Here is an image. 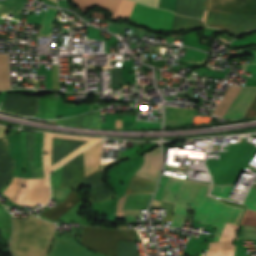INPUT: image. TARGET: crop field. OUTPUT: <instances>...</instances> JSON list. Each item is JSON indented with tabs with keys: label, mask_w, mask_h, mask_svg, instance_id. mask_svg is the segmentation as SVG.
<instances>
[{
	"label": "crop field",
	"mask_w": 256,
	"mask_h": 256,
	"mask_svg": "<svg viewBox=\"0 0 256 256\" xmlns=\"http://www.w3.org/2000/svg\"><path fill=\"white\" fill-rule=\"evenodd\" d=\"M206 13L205 11L204 19ZM205 23L210 27L224 28L239 34L245 30L256 28V17L208 12Z\"/></svg>",
	"instance_id": "obj_3"
},
{
	"label": "crop field",
	"mask_w": 256,
	"mask_h": 256,
	"mask_svg": "<svg viewBox=\"0 0 256 256\" xmlns=\"http://www.w3.org/2000/svg\"><path fill=\"white\" fill-rule=\"evenodd\" d=\"M193 27H202L204 29L207 28L206 25L198 19L179 17L174 14L172 32L185 30Z\"/></svg>",
	"instance_id": "obj_12"
},
{
	"label": "crop field",
	"mask_w": 256,
	"mask_h": 256,
	"mask_svg": "<svg viewBox=\"0 0 256 256\" xmlns=\"http://www.w3.org/2000/svg\"><path fill=\"white\" fill-rule=\"evenodd\" d=\"M246 71L252 73L253 75L251 76V78L256 80V64H247Z\"/></svg>",
	"instance_id": "obj_26"
},
{
	"label": "crop field",
	"mask_w": 256,
	"mask_h": 256,
	"mask_svg": "<svg viewBox=\"0 0 256 256\" xmlns=\"http://www.w3.org/2000/svg\"><path fill=\"white\" fill-rule=\"evenodd\" d=\"M101 143L102 141L92 146L88 150L84 151V163H85L86 176L98 170Z\"/></svg>",
	"instance_id": "obj_10"
},
{
	"label": "crop field",
	"mask_w": 256,
	"mask_h": 256,
	"mask_svg": "<svg viewBox=\"0 0 256 256\" xmlns=\"http://www.w3.org/2000/svg\"><path fill=\"white\" fill-rule=\"evenodd\" d=\"M7 129V126L0 125V138H2L5 135Z\"/></svg>",
	"instance_id": "obj_29"
},
{
	"label": "crop field",
	"mask_w": 256,
	"mask_h": 256,
	"mask_svg": "<svg viewBox=\"0 0 256 256\" xmlns=\"http://www.w3.org/2000/svg\"><path fill=\"white\" fill-rule=\"evenodd\" d=\"M205 10L256 15V0H206Z\"/></svg>",
	"instance_id": "obj_4"
},
{
	"label": "crop field",
	"mask_w": 256,
	"mask_h": 256,
	"mask_svg": "<svg viewBox=\"0 0 256 256\" xmlns=\"http://www.w3.org/2000/svg\"><path fill=\"white\" fill-rule=\"evenodd\" d=\"M242 225H255L256 226V213L248 211L245 218L241 222Z\"/></svg>",
	"instance_id": "obj_23"
},
{
	"label": "crop field",
	"mask_w": 256,
	"mask_h": 256,
	"mask_svg": "<svg viewBox=\"0 0 256 256\" xmlns=\"http://www.w3.org/2000/svg\"><path fill=\"white\" fill-rule=\"evenodd\" d=\"M52 89L59 90V86H58V65H52Z\"/></svg>",
	"instance_id": "obj_24"
},
{
	"label": "crop field",
	"mask_w": 256,
	"mask_h": 256,
	"mask_svg": "<svg viewBox=\"0 0 256 256\" xmlns=\"http://www.w3.org/2000/svg\"><path fill=\"white\" fill-rule=\"evenodd\" d=\"M0 8H1V6H0Z\"/></svg>",
	"instance_id": "obj_31"
},
{
	"label": "crop field",
	"mask_w": 256,
	"mask_h": 256,
	"mask_svg": "<svg viewBox=\"0 0 256 256\" xmlns=\"http://www.w3.org/2000/svg\"><path fill=\"white\" fill-rule=\"evenodd\" d=\"M240 90L241 88L230 86L229 89L224 94L222 100L214 110V113L223 117V115L225 114V112L227 111V109L229 108V106L231 105V103L233 102V100L235 99Z\"/></svg>",
	"instance_id": "obj_13"
},
{
	"label": "crop field",
	"mask_w": 256,
	"mask_h": 256,
	"mask_svg": "<svg viewBox=\"0 0 256 256\" xmlns=\"http://www.w3.org/2000/svg\"><path fill=\"white\" fill-rule=\"evenodd\" d=\"M161 167L162 155L161 149L158 148L151 153L145 154V162L135 176H141L143 178L157 181Z\"/></svg>",
	"instance_id": "obj_7"
},
{
	"label": "crop field",
	"mask_w": 256,
	"mask_h": 256,
	"mask_svg": "<svg viewBox=\"0 0 256 256\" xmlns=\"http://www.w3.org/2000/svg\"><path fill=\"white\" fill-rule=\"evenodd\" d=\"M244 205H247L246 210H251L256 212V186L252 185L248 195L246 196Z\"/></svg>",
	"instance_id": "obj_18"
},
{
	"label": "crop field",
	"mask_w": 256,
	"mask_h": 256,
	"mask_svg": "<svg viewBox=\"0 0 256 256\" xmlns=\"http://www.w3.org/2000/svg\"><path fill=\"white\" fill-rule=\"evenodd\" d=\"M164 204L168 205L165 218L171 220L174 206L171 204H167V203H164Z\"/></svg>",
	"instance_id": "obj_28"
},
{
	"label": "crop field",
	"mask_w": 256,
	"mask_h": 256,
	"mask_svg": "<svg viewBox=\"0 0 256 256\" xmlns=\"http://www.w3.org/2000/svg\"><path fill=\"white\" fill-rule=\"evenodd\" d=\"M53 1H55V2H56V0H53Z\"/></svg>",
	"instance_id": "obj_30"
},
{
	"label": "crop field",
	"mask_w": 256,
	"mask_h": 256,
	"mask_svg": "<svg viewBox=\"0 0 256 256\" xmlns=\"http://www.w3.org/2000/svg\"><path fill=\"white\" fill-rule=\"evenodd\" d=\"M135 1L141 2L149 6H154V7H157L159 2V0H135Z\"/></svg>",
	"instance_id": "obj_27"
},
{
	"label": "crop field",
	"mask_w": 256,
	"mask_h": 256,
	"mask_svg": "<svg viewBox=\"0 0 256 256\" xmlns=\"http://www.w3.org/2000/svg\"><path fill=\"white\" fill-rule=\"evenodd\" d=\"M256 44V36H249L242 40H234L230 43L229 47H242V46H250Z\"/></svg>",
	"instance_id": "obj_20"
},
{
	"label": "crop field",
	"mask_w": 256,
	"mask_h": 256,
	"mask_svg": "<svg viewBox=\"0 0 256 256\" xmlns=\"http://www.w3.org/2000/svg\"><path fill=\"white\" fill-rule=\"evenodd\" d=\"M72 1L81 10L82 13H86L90 8L99 7L104 10L111 11L112 17L114 18L122 0H72Z\"/></svg>",
	"instance_id": "obj_8"
},
{
	"label": "crop field",
	"mask_w": 256,
	"mask_h": 256,
	"mask_svg": "<svg viewBox=\"0 0 256 256\" xmlns=\"http://www.w3.org/2000/svg\"><path fill=\"white\" fill-rule=\"evenodd\" d=\"M256 117V98L253 101L251 107L249 108L248 112L244 116V118H253Z\"/></svg>",
	"instance_id": "obj_25"
},
{
	"label": "crop field",
	"mask_w": 256,
	"mask_h": 256,
	"mask_svg": "<svg viewBox=\"0 0 256 256\" xmlns=\"http://www.w3.org/2000/svg\"><path fill=\"white\" fill-rule=\"evenodd\" d=\"M10 89L7 55H0V90Z\"/></svg>",
	"instance_id": "obj_15"
},
{
	"label": "crop field",
	"mask_w": 256,
	"mask_h": 256,
	"mask_svg": "<svg viewBox=\"0 0 256 256\" xmlns=\"http://www.w3.org/2000/svg\"><path fill=\"white\" fill-rule=\"evenodd\" d=\"M204 12V0H177L175 13L183 16L202 18Z\"/></svg>",
	"instance_id": "obj_9"
},
{
	"label": "crop field",
	"mask_w": 256,
	"mask_h": 256,
	"mask_svg": "<svg viewBox=\"0 0 256 256\" xmlns=\"http://www.w3.org/2000/svg\"><path fill=\"white\" fill-rule=\"evenodd\" d=\"M155 186V182L139 177H133L125 192V195L129 193H153Z\"/></svg>",
	"instance_id": "obj_11"
},
{
	"label": "crop field",
	"mask_w": 256,
	"mask_h": 256,
	"mask_svg": "<svg viewBox=\"0 0 256 256\" xmlns=\"http://www.w3.org/2000/svg\"><path fill=\"white\" fill-rule=\"evenodd\" d=\"M210 185L170 177L162 201L175 204L170 227H180L188 213L189 205L195 211L194 220L218 226L214 241H218L225 223L236 224L243 209L208 198Z\"/></svg>",
	"instance_id": "obj_1"
},
{
	"label": "crop field",
	"mask_w": 256,
	"mask_h": 256,
	"mask_svg": "<svg viewBox=\"0 0 256 256\" xmlns=\"http://www.w3.org/2000/svg\"><path fill=\"white\" fill-rule=\"evenodd\" d=\"M243 239H254L256 240V227L245 226L243 233Z\"/></svg>",
	"instance_id": "obj_22"
},
{
	"label": "crop field",
	"mask_w": 256,
	"mask_h": 256,
	"mask_svg": "<svg viewBox=\"0 0 256 256\" xmlns=\"http://www.w3.org/2000/svg\"><path fill=\"white\" fill-rule=\"evenodd\" d=\"M122 4H123V2H122ZM122 4H121V6H122ZM133 5H134V2H131L129 0H125L124 4L122 6L121 12H120V14H119L117 19L128 20L130 14H131ZM121 6H120V8H121ZM120 8H119V10H120ZM119 10H118V12H119Z\"/></svg>",
	"instance_id": "obj_19"
},
{
	"label": "crop field",
	"mask_w": 256,
	"mask_h": 256,
	"mask_svg": "<svg viewBox=\"0 0 256 256\" xmlns=\"http://www.w3.org/2000/svg\"><path fill=\"white\" fill-rule=\"evenodd\" d=\"M48 256H101L90 252L79 245L74 239L56 237L55 244Z\"/></svg>",
	"instance_id": "obj_5"
},
{
	"label": "crop field",
	"mask_w": 256,
	"mask_h": 256,
	"mask_svg": "<svg viewBox=\"0 0 256 256\" xmlns=\"http://www.w3.org/2000/svg\"><path fill=\"white\" fill-rule=\"evenodd\" d=\"M173 13L163 9H157L142 5L135 4L130 20L146 25L154 30L171 31Z\"/></svg>",
	"instance_id": "obj_2"
},
{
	"label": "crop field",
	"mask_w": 256,
	"mask_h": 256,
	"mask_svg": "<svg viewBox=\"0 0 256 256\" xmlns=\"http://www.w3.org/2000/svg\"><path fill=\"white\" fill-rule=\"evenodd\" d=\"M232 186L233 185H213L210 196L227 200Z\"/></svg>",
	"instance_id": "obj_16"
},
{
	"label": "crop field",
	"mask_w": 256,
	"mask_h": 256,
	"mask_svg": "<svg viewBox=\"0 0 256 256\" xmlns=\"http://www.w3.org/2000/svg\"><path fill=\"white\" fill-rule=\"evenodd\" d=\"M256 96V88H242L226 114V119L242 118ZM223 118V119H224Z\"/></svg>",
	"instance_id": "obj_6"
},
{
	"label": "crop field",
	"mask_w": 256,
	"mask_h": 256,
	"mask_svg": "<svg viewBox=\"0 0 256 256\" xmlns=\"http://www.w3.org/2000/svg\"><path fill=\"white\" fill-rule=\"evenodd\" d=\"M207 56L208 55L206 53H202L197 50L188 48L185 61L193 63H204Z\"/></svg>",
	"instance_id": "obj_17"
},
{
	"label": "crop field",
	"mask_w": 256,
	"mask_h": 256,
	"mask_svg": "<svg viewBox=\"0 0 256 256\" xmlns=\"http://www.w3.org/2000/svg\"><path fill=\"white\" fill-rule=\"evenodd\" d=\"M56 11H57V9H53L50 7L48 8V10L44 16L43 22L41 24V28H40L38 37L49 38L52 21H53Z\"/></svg>",
	"instance_id": "obj_14"
},
{
	"label": "crop field",
	"mask_w": 256,
	"mask_h": 256,
	"mask_svg": "<svg viewBox=\"0 0 256 256\" xmlns=\"http://www.w3.org/2000/svg\"><path fill=\"white\" fill-rule=\"evenodd\" d=\"M161 123L151 121H137L131 129H151L160 128Z\"/></svg>",
	"instance_id": "obj_21"
}]
</instances>
